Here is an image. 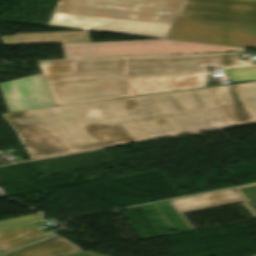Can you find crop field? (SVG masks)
Returning <instances> with one entry per match:
<instances>
[{"instance_id": "10", "label": "crop field", "mask_w": 256, "mask_h": 256, "mask_svg": "<svg viewBox=\"0 0 256 256\" xmlns=\"http://www.w3.org/2000/svg\"><path fill=\"white\" fill-rule=\"evenodd\" d=\"M0 37L6 45L91 42L89 31L30 33Z\"/></svg>"}, {"instance_id": "11", "label": "crop field", "mask_w": 256, "mask_h": 256, "mask_svg": "<svg viewBox=\"0 0 256 256\" xmlns=\"http://www.w3.org/2000/svg\"><path fill=\"white\" fill-rule=\"evenodd\" d=\"M74 252H80V250L61 237L56 236L1 256H58Z\"/></svg>"}, {"instance_id": "4", "label": "crop field", "mask_w": 256, "mask_h": 256, "mask_svg": "<svg viewBox=\"0 0 256 256\" xmlns=\"http://www.w3.org/2000/svg\"><path fill=\"white\" fill-rule=\"evenodd\" d=\"M166 39L256 48V0H182Z\"/></svg>"}, {"instance_id": "8", "label": "crop field", "mask_w": 256, "mask_h": 256, "mask_svg": "<svg viewBox=\"0 0 256 256\" xmlns=\"http://www.w3.org/2000/svg\"><path fill=\"white\" fill-rule=\"evenodd\" d=\"M209 74L127 80L129 97L206 87Z\"/></svg>"}, {"instance_id": "20", "label": "crop field", "mask_w": 256, "mask_h": 256, "mask_svg": "<svg viewBox=\"0 0 256 256\" xmlns=\"http://www.w3.org/2000/svg\"><path fill=\"white\" fill-rule=\"evenodd\" d=\"M256 256V255H255Z\"/></svg>"}, {"instance_id": "16", "label": "crop field", "mask_w": 256, "mask_h": 256, "mask_svg": "<svg viewBox=\"0 0 256 256\" xmlns=\"http://www.w3.org/2000/svg\"><path fill=\"white\" fill-rule=\"evenodd\" d=\"M246 200L244 205L256 217V184L236 188Z\"/></svg>"}, {"instance_id": "18", "label": "crop field", "mask_w": 256, "mask_h": 256, "mask_svg": "<svg viewBox=\"0 0 256 256\" xmlns=\"http://www.w3.org/2000/svg\"><path fill=\"white\" fill-rule=\"evenodd\" d=\"M252 64H253V65H256V61H252Z\"/></svg>"}, {"instance_id": "7", "label": "crop field", "mask_w": 256, "mask_h": 256, "mask_svg": "<svg viewBox=\"0 0 256 256\" xmlns=\"http://www.w3.org/2000/svg\"><path fill=\"white\" fill-rule=\"evenodd\" d=\"M9 112L55 106L41 74L0 83Z\"/></svg>"}, {"instance_id": "1", "label": "crop field", "mask_w": 256, "mask_h": 256, "mask_svg": "<svg viewBox=\"0 0 256 256\" xmlns=\"http://www.w3.org/2000/svg\"><path fill=\"white\" fill-rule=\"evenodd\" d=\"M151 95L167 114L221 106L233 124L256 120V82ZM2 115L31 160L150 139L121 99Z\"/></svg>"}, {"instance_id": "2", "label": "crop field", "mask_w": 256, "mask_h": 256, "mask_svg": "<svg viewBox=\"0 0 256 256\" xmlns=\"http://www.w3.org/2000/svg\"><path fill=\"white\" fill-rule=\"evenodd\" d=\"M77 72L42 74L56 106L128 97L126 79L207 73L249 65L237 54L75 61Z\"/></svg>"}, {"instance_id": "15", "label": "crop field", "mask_w": 256, "mask_h": 256, "mask_svg": "<svg viewBox=\"0 0 256 256\" xmlns=\"http://www.w3.org/2000/svg\"><path fill=\"white\" fill-rule=\"evenodd\" d=\"M42 73L76 71L74 61L38 62Z\"/></svg>"}, {"instance_id": "9", "label": "crop field", "mask_w": 256, "mask_h": 256, "mask_svg": "<svg viewBox=\"0 0 256 256\" xmlns=\"http://www.w3.org/2000/svg\"><path fill=\"white\" fill-rule=\"evenodd\" d=\"M243 200L244 199L237 192V190L232 188L193 197L171 200L170 203L173 205L191 231H193V228L190 226L181 212L234 203Z\"/></svg>"}, {"instance_id": "3", "label": "crop field", "mask_w": 256, "mask_h": 256, "mask_svg": "<svg viewBox=\"0 0 256 256\" xmlns=\"http://www.w3.org/2000/svg\"><path fill=\"white\" fill-rule=\"evenodd\" d=\"M181 0H58L47 26L165 38Z\"/></svg>"}, {"instance_id": "5", "label": "crop field", "mask_w": 256, "mask_h": 256, "mask_svg": "<svg viewBox=\"0 0 256 256\" xmlns=\"http://www.w3.org/2000/svg\"><path fill=\"white\" fill-rule=\"evenodd\" d=\"M123 101L150 138L232 124L221 107L167 115L155 96Z\"/></svg>"}, {"instance_id": "14", "label": "crop field", "mask_w": 256, "mask_h": 256, "mask_svg": "<svg viewBox=\"0 0 256 256\" xmlns=\"http://www.w3.org/2000/svg\"><path fill=\"white\" fill-rule=\"evenodd\" d=\"M41 222L42 220L39 216V213H36V214H31L23 217L1 221L0 230L20 227L25 225H31V224L41 223Z\"/></svg>"}, {"instance_id": "19", "label": "crop field", "mask_w": 256, "mask_h": 256, "mask_svg": "<svg viewBox=\"0 0 256 256\" xmlns=\"http://www.w3.org/2000/svg\"><path fill=\"white\" fill-rule=\"evenodd\" d=\"M0 196H2V194L0 193Z\"/></svg>"}, {"instance_id": "17", "label": "crop field", "mask_w": 256, "mask_h": 256, "mask_svg": "<svg viewBox=\"0 0 256 256\" xmlns=\"http://www.w3.org/2000/svg\"><path fill=\"white\" fill-rule=\"evenodd\" d=\"M64 256H103V255L87 251V252H80V253L69 254V255H64Z\"/></svg>"}, {"instance_id": "13", "label": "crop field", "mask_w": 256, "mask_h": 256, "mask_svg": "<svg viewBox=\"0 0 256 256\" xmlns=\"http://www.w3.org/2000/svg\"><path fill=\"white\" fill-rule=\"evenodd\" d=\"M225 72L234 83L256 80V66L231 68Z\"/></svg>"}, {"instance_id": "6", "label": "crop field", "mask_w": 256, "mask_h": 256, "mask_svg": "<svg viewBox=\"0 0 256 256\" xmlns=\"http://www.w3.org/2000/svg\"><path fill=\"white\" fill-rule=\"evenodd\" d=\"M65 59L246 51V48L153 40L62 44Z\"/></svg>"}, {"instance_id": "12", "label": "crop field", "mask_w": 256, "mask_h": 256, "mask_svg": "<svg viewBox=\"0 0 256 256\" xmlns=\"http://www.w3.org/2000/svg\"><path fill=\"white\" fill-rule=\"evenodd\" d=\"M53 233L51 231L44 234L34 225L0 231V253L47 237Z\"/></svg>"}]
</instances>
